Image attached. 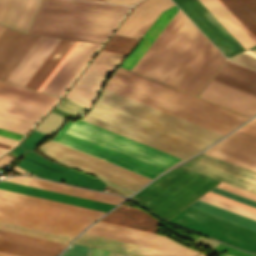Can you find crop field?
<instances>
[{
  "mask_svg": "<svg viewBox=\"0 0 256 256\" xmlns=\"http://www.w3.org/2000/svg\"><path fill=\"white\" fill-rule=\"evenodd\" d=\"M82 120L181 159L223 136L106 89Z\"/></svg>",
  "mask_w": 256,
  "mask_h": 256,
  "instance_id": "obj_1",
  "label": "crop field"
},
{
  "mask_svg": "<svg viewBox=\"0 0 256 256\" xmlns=\"http://www.w3.org/2000/svg\"><path fill=\"white\" fill-rule=\"evenodd\" d=\"M53 140L151 179L181 160L82 120L69 121Z\"/></svg>",
  "mask_w": 256,
  "mask_h": 256,
  "instance_id": "obj_2",
  "label": "crop field"
},
{
  "mask_svg": "<svg viewBox=\"0 0 256 256\" xmlns=\"http://www.w3.org/2000/svg\"><path fill=\"white\" fill-rule=\"evenodd\" d=\"M130 7L44 0L29 34L103 42Z\"/></svg>",
  "mask_w": 256,
  "mask_h": 256,
  "instance_id": "obj_3",
  "label": "crop field"
},
{
  "mask_svg": "<svg viewBox=\"0 0 256 256\" xmlns=\"http://www.w3.org/2000/svg\"><path fill=\"white\" fill-rule=\"evenodd\" d=\"M104 212L0 189V215L80 232Z\"/></svg>",
  "mask_w": 256,
  "mask_h": 256,
  "instance_id": "obj_4",
  "label": "crop field"
},
{
  "mask_svg": "<svg viewBox=\"0 0 256 256\" xmlns=\"http://www.w3.org/2000/svg\"><path fill=\"white\" fill-rule=\"evenodd\" d=\"M217 182L219 181L178 167L149 184L132 198L167 220Z\"/></svg>",
  "mask_w": 256,
  "mask_h": 256,
  "instance_id": "obj_5",
  "label": "crop field"
},
{
  "mask_svg": "<svg viewBox=\"0 0 256 256\" xmlns=\"http://www.w3.org/2000/svg\"><path fill=\"white\" fill-rule=\"evenodd\" d=\"M199 97L251 117L256 114V71L226 60Z\"/></svg>",
  "mask_w": 256,
  "mask_h": 256,
  "instance_id": "obj_6",
  "label": "crop field"
},
{
  "mask_svg": "<svg viewBox=\"0 0 256 256\" xmlns=\"http://www.w3.org/2000/svg\"><path fill=\"white\" fill-rule=\"evenodd\" d=\"M111 80L152 95L169 103L175 104L192 112L198 113L220 123L226 124L233 128L237 127L246 119H248L245 116L200 100L122 68H119L112 75Z\"/></svg>",
  "mask_w": 256,
  "mask_h": 256,
  "instance_id": "obj_7",
  "label": "crop field"
},
{
  "mask_svg": "<svg viewBox=\"0 0 256 256\" xmlns=\"http://www.w3.org/2000/svg\"><path fill=\"white\" fill-rule=\"evenodd\" d=\"M40 147L50 157L64 164L93 173L109 186L126 195L132 194L151 180L53 140Z\"/></svg>",
  "mask_w": 256,
  "mask_h": 256,
  "instance_id": "obj_8",
  "label": "crop field"
},
{
  "mask_svg": "<svg viewBox=\"0 0 256 256\" xmlns=\"http://www.w3.org/2000/svg\"><path fill=\"white\" fill-rule=\"evenodd\" d=\"M169 221L195 229L244 250L256 251V231L191 206Z\"/></svg>",
  "mask_w": 256,
  "mask_h": 256,
  "instance_id": "obj_9",
  "label": "crop field"
},
{
  "mask_svg": "<svg viewBox=\"0 0 256 256\" xmlns=\"http://www.w3.org/2000/svg\"><path fill=\"white\" fill-rule=\"evenodd\" d=\"M202 35L187 18L144 76L165 83Z\"/></svg>",
  "mask_w": 256,
  "mask_h": 256,
  "instance_id": "obj_10",
  "label": "crop field"
},
{
  "mask_svg": "<svg viewBox=\"0 0 256 256\" xmlns=\"http://www.w3.org/2000/svg\"><path fill=\"white\" fill-rule=\"evenodd\" d=\"M85 232L186 256H196L199 254V252L186 248L162 235L151 234L101 221L95 223Z\"/></svg>",
  "mask_w": 256,
  "mask_h": 256,
  "instance_id": "obj_11",
  "label": "crop field"
},
{
  "mask_svg": "<svg viewBox=\"0 0 256 256\" xmlns=\"http://www.w3.org/2000/svg\"><path fill=\"white\" fill-rule=\"evenodd\" d=\"M226 56L244 48L198 0H173Z\"/></svg>",
  "mask_w": 256,
  "mask_h": 256,
  "instance_id": "obj_12",
  "label": "crop field"
},
{
  "mask_svg": "<svg viewBox=\"0 0 256 256\" xmlns=\"http://www.w3.org/2000/svg\"><path fill=\"white\" fill-rule=\"evenodd\" d=\"M182 166L256 192V172L211 156L202 154Z\"/></svg>",
  "mask_w": 256,
  "mask_h": 256,
  "instance_id": "obj_13",
  "label": "crop field"
},
{
  "mask_svg": "<svg viewBox=\"0 0 256 256\" xmlns=\"http://www.w3.org/2000/svg\"><path fill=\"white\" fill-rule=\"evenodd\" d=\"M27 159L35 160L45 166L58 170V172L45 168L36 163H33ZM16 166L41 178L67 182V183L84 186V187H88V188H92L100 191H102L106 185L104 182H102L98 178L80 173L78 171H75L65 166L55 164L31 151H29L21 160V162Z\"/></svg>",
  "mask_w": 256,
  "mask_h": 256,
  "instance_id": "obj_14",
  "label": "crop field"
},
{
  "mask_svg": "<svg viewBox=\"0 0 256 256\" xmlns=\"http://www.w3.org/2000/svg\"><path fill=\"white\" fill-rule=\"evenodd\" d=\"M205 154L256 171V136L237 130Z\"/></svg>",
  "mask_w": 256,
  "mask_h": 256,
  "instance_id": "obj_15",
  "label": "crop field"
},
{
  "mask_svg": "<svg viewBox=\"0 0 256 256\" xmlns=\"http://www.w3.org/2000/svg\"><path fill=\"white\" fill-rule=\"evenodd\" d=\"M106 89L111 90L113 92L119 93L136 101L142 102L159 110L165 111L187 121L193 122L210 130L216 131L223 135L227 134L233 128L228 127L226 125L220 124L198 114L192 113L175 105L169 104L152 96L146 95L124 85L118 84L109 80L107 83Z\"/></svg>",
  "mask_w": 256,
  "mask_h": 256,
  "instance_id": "obj_16",
  "label": "crop field"
},
{
  "mask_svg": "<svg viewBox=\"0 0 256 256\" xmlns=\"http://www.w3.org/2000/svg\"><path fill=\"white\" fill-rule=\"evenodd\" d=\"M101 44L80 41L42 92L60 96Z\"/></svg>",
  "mask_w": 256,
  "mask_h": 256,
  "instance_id": "obj_17",
  "label": "crop field"
},
{
  "mask_svg": "<svg viewBox=\"0 0 256 256\" xmlns=\"http://www.w3.org/2000/svg\"><path fill=\"white\" fill-rule=\"evenodd\" d=\"M38 38L4 29L0 34V80H6Z\"/></svg>",
  "mask_w": 256,
  "mask_h": 256,
  "instance_id": "obj_18",
  "label": "crop field"
},
{
  "mask_svg": "<svg viewBox=\"0 0 256 256\" xmlns=\"http://www.w3.org/2000/svg\"><path fill=\"white\" fill-rule=\"evenodd\" d=\"M174 5L171 0H146L137 5L116 35L140 39L159 14Z\"/></svg>",
  "mask_w": 256,
  "mask_h": 256,
  "instance_id": "obj_19",
  "label": "crop field"
},
{
  "mask_svg": "<svg viewBox=\"0 0 256 256\" xmlns=\"http://www.w3.org/2000/svg\"><path fill=\"white\" fill-rule=\"evenodd\" d=\"M60 40L40 37L6 81L25 86Z\"/></svg>",
  "mask_w": 256,
  "mask_h": 256,
  "instance_id": "obj_20",
  "label": "crop field"
},
{
  "mask_svg": "<svg viewBox=\"0 0 256 256\" xmlns=\"http://www.w3.org/2000/svg\"><path fill=\"white\" fill-rule=\"evenodd\" d=\"M42 0H0V24L27 33Z\"/></svg>",
  "mask_w": 256,
  "mask_h": 256,
  "instance_id": "obj_21",
  "label": "crop field"
},
{
  "mask_svg": "<svg viewBox=\"0 0 256 256\" xmlns=\"http://www.w3.org/2000/svg\"><path fill=\"white\" fill-rule=\"evenodd\" d=\"M214 48L203 35L166 84L182 90Z\"/></svg>",
  "mask_w": 256,
  "mask_h": 256,
  "instance_id": "obj_22",
  "label": "crop field"
},
{
  "mask_svg": "<svg viewBox=\"0 0 256 256\" xmlns=\"http://www.w3.org/2000/svg\"><path fill=\"white\" fill-rule=\"evenodd\" d=\"M101 221L118 224L134 229H139L151 233L157 230V219L143 210L120 205L107 214Z\"/></svg>",
  "mask_w": 256,
  "mask_h": 256,
  "instance_id": "obj_23",
  "label": "crop field"
},
{
  "mask_svg": "<svg viewBox=\"0 0 256 256\" xmlns=\"http://www.w3.org/2000/svg\"><path fill=\"white\" fill-rule=\"evenodd\" d=\"M218 21L237 39L245 48L256 44V39L246 28L219 2V0H199Z\"/></svg>",
  "mask_w": 256,
  "mask_h": 256,
  "instance_id": "obj_24",
  "label": "crop field"
},
{
  "mask_svg": "<svg viewBox=\"0 0 256 256\" xmlns=\"http://www.w3.org/2000/svg\"><path fill=\"white\" fill-rule=\"evenodd\" d=\"M0 188L11 190V191H16V192H20V193H25V194H29V195H34V196H38V197H42V198H47V199H51V200H56V201H60V202H64V203H69V204H73V205H78V206H82V207H87V208L100 210V211H104V212H107L109 209H111L114 206V205H110V204H105V203L87 200V199H83V198H78V197H74V196H69V195H65V194L55 193V192H51V191H46V190H42V189H37V188H33V187L10 183V182H6V181L0 182Z\"/></svg>",
  "mask_w": 256,
  "mask_h": 256,
  "instance_id": "obj_25",
  "label": "crop field"
},
{
  "mask_svg": "<svg viewBox=\"0 0 256 256\" xmlns=\"http://www.w3.org/2000/svg\"><path fill=\"white\" fill-rule=\"evenodd\" d=\"M108 76V74L85 70L70 92L68 91L67 96H65L68 99L90 107L99 95Z\"/></svg>",
  "mask_w": 256,
  "mask_h": 256,
  "instance_id": "obj_26",
  "label": "crop field"
},
{
  "mask_svg": "<svg viewBox=\"0 0 256 256\" xmlns=\"http://www.w3.org/2000/svg\"><path fill=\"white\" fill-rule=\"evenodd\" d=\"M75 242L134 256H179L86 233L79 236Z\"/></svg>",
  "mask_w": 256,
  "mask_h": 256,
  "instance_id": "obj_27",
  "label": "crop field"
},
{
  "mask_svg": "<svg viewBox=\"0 0 256 256\" xmlns=\"http://www.w3.org/2000/svg\"><path fill=\"white\" fill-rule=\"evenodd\" d=\"M178 10L179 9L174 5L162 12L152 26L143 35L137 46L128 54L124 62L122 61L123 63L121 64V67L131 70Z\"/></svg>",
  "mask_w": 256,
  "mask_h": 256,
  "instance_id": "obj_28",
  "label": "crop field"
},
{
  "mask_svg": "<svg viewBox=\"0 0 256 256\" xmlns=\"http://www.w3.org/2000/svg\"><path fill=\"white\" fill-rule=\"evenodd\" d=\"M177 13V12H176ZM187 17L179 10L158 38L153 42L137 64L133 67L135 71L141 75L147 70L154 59L158 56L164 46L168 43L171 37L175 34L178 28L182 25Z\"/></svg>",
  "mask_w": 256,
  "mask_h": 256,
  "instance_id": "obj_29",
  "label": "crop field"
},
{
  "mask_svg": "<svg viewBox=\"0 0 256 256\" xmlns=\"http://www.w3.org/2000/svg\"><path fill=\"white\" fill-rule=\"evenodd\" d=\"M0 96L48 110L58 99L56 96L26 89L0 81Z\"/></svg>",
  "mask_w": 256,
  "mask_h": 256,
  "instance_id": "obj_30",
  "label": "crop field"
},
{
  "mask_svg": "<svg viewBox=\"0 0 256 256\" xmlns=\"http://www.w3.org/2000/svg\"><path fill=\"white\" fill-rule=\"evenodd\" d=\"M29 186L33 187H38L42 189H47L51 191H56L60 193H65L69 195H74L78 197H83L87 199H92L96 201H101L105 203H110L117 205L119 202H121L122 198L100 193V192H95V191H90V190H85V189H80V188H75V187H70L66 185H61V184H56V183H51L39 179H34L31 178L30 182L28 183Z\"/></svg>",
  "mask_w": 256,
  "mask_h": 256,
  "instance_id": "obj_31",
  "label": "crop field"
},
{
  "mask_svg": "<svg viewBox=\"0 0 256 256\" xmlns=\"http://www.w3.org/2000/svg\"><path fill=\"white\" fill-rule=\"evenodd\" d=\"M226 59L215 48L207 60L191 78L183 91L198 95Z\"/></svg>",
  "mask_w": 256,
  "mask_h": 256,
  "instance_id": "obj_32",
  "label": "crop field"
},
{
  "mask_svg": "<svg viewBox=\"0 0 256 256\" xmlns=\"http://www.w3.org/2000/svg\"><path fill=\"white\" fill-rule=\"evenodd\" d=\"M256 38V0H220Z\"/></svg>",
  "mask_w": 256,
  "mask_h": 256,
  "instance_id": "obj_33",
  "label": "crop field"
},
{
  "mask_svg": "<svg viewBox=\"0 0 256 256\" xmlns=\"http://www.w3.org/2000/svg\"><path fill=\"white\" fill-rule=\"evenodd\" d=\"M74 42L75 41L73 40L62 39L35 75L27 83L26 87L37 90Z\"/></svg>",
  "mask_w": 256,
  "mask_h": 256,
  "instance_id": "obj_34",
  "label": "crop field"
},
{
  "mask_svg": "<svg viewBox=\"0 0 256 256\" xmlns=\"http://www.w3.org/2000/svg\"><path fill=\"white\" fill-rule=\"evenodd\" d=\"M0 112L37 122L46 110L0 98Z\"/></svg>",
  "mask_w": 256,
  "mask_h": 256,
  "instance_id": "obj_35",
  "label": "crop field"
},
{
  "mask_svg": "<svg viewBox=\"0 0 256 256\" xmlns=\"http://www.w3.org/2000/svg\"><path fill=\"white\" fill-rule=\"evenodd\" d=\"M191 206L199 208L201 210H204L206 212L212 213L214 215L220 216L222 218H225L227 220L233 221L235 223H238L240 225L246 226L248 228H251L253 230H256V221L246 218L244 216L232 213L230 211L218 208L216 206L204 203L202 201H195Z\"/></svg>",
  "mask_w": 256,
  "mask_h": 256,
  "instance_id": "obj_36",
  "label": "crop field"
},
{
  "mask_svg": "<svg viewBox=\"0 0 256 256\" xmlns=\"http://www.w3.org/2000/svg\"><path fill=\"white\" fill-rule=\"evenodd\" d=\"M0 229L2 230H7V231H12V232H17V233H22L30 236H35L39 238H44L52 241H57L61 243L68 244L69 241L72 239V237L68 236H63L55 233H50L46 231H41L33 228H28L24 226H19L11 223H6L0 221Z\"/></svg>",
  "mask_w": 256,
  "mask_h": 256,
  "instance_id": "obj_37",
  "label": "crop field"
},
{
  "mask_svg": "<svg viewBox=\"0 0 256 256\" xmlns=\"http://www.w3.org/2000/svg\"><path fill=\"white\" fill-rule=\"evenodd\" d=\"M0 239L46 248L55 251H61L66 245L14 233L0 231Z\"/></svg>",
  "mask_w": 256,
  "mask_h": 256,
  "instance_id": "obj_38",
  "label": "crop field"
},
{
  "mask_svg": "<svg viewBox=\"0 0 256 256\" xmlns=\"http://www.w3.org/2000/svg\"><path fill=\"white\" fill-rule=\"evenodd\" d=\"M0 250L23 256H54L58 252L0 240Z\"/></svg>",
  "mask_w": 256,
  "mask_h": 256,
  "instance_id": "obj_39",
  "label": "crop field"
},
{
  "mask_svg": "<svg viewBox=\"0 0 256 256\" xmlns=\"http://www.w3.org/2000/svg\"><path fill=\"white\" fill-rule=\"evenodd\" d=\"M35 124L28 120L0 113V128L25 135Z\"/></svg>",
  "mask_w": 256,
  "mask_h": 256,
  "instance_id": "obj_40",
  "label": "crop field"
},
{
  "mask_svg": "<svg viewBox=\"0 0 256 256\" xmlns=\"http://www.w3.org/2000/svg\"><path fill=\"white\" fill-rule=\"evenodd\" d=\"M65 120L66 118L50 112L35 130L50 136L58 130Z\"/></svg>",
  "mask_w": 256,
  "mask_h": 256,
  "instance_id": "obj_41",
  "label": "crop field"
},
{
  "mask_svg": "<svg viewBox=\"0 0 256 256\" xmlns=\"http://www.w3.org/2000/svg\"><path fill=\"white\" fill-rule=\"evenodd\" d=\"M136 41L137 40L113 35L103 50L126 55Z\"/></svg>",
  "mask_w": 256,
  "mask_h": 256,
  "instance_id": "obj_42",
  "label": "crop field"
},
{
  "mask_svg": "<svg viewBox=\"0 0 256 256\" xmlns=\"http://www.w3.org/2000/svg\"><path fill=\"white\" fill-rule=\"evenodd\" d=\"M0 220L19 224V225H24V226H28V227H33V228H37V229H41V230H46V231H50V232H55V233H59V234H63V235H68V236H72V237H75L78 234L77 232H73V231H68V230H63V229L54 228V227H50V226L40 225V224L31 223V222L22 221V220L13 219V218H8V217H4V216H0Z\"/></svg>",
  "mask_w": 256,
  "mask_h": 256,
  "instance_id": "obj_43",
  "label": "crop field"
},
{
  "mask_svg": "<svg viewBox=\"0 0 256 256\" xmlns=\"http://www.w3.org/2000/svg\"><path fill=\"white\" fill-rule=\"evenodd\" d=\"M199 200L205 201V202H207V203H210V204L219 206V207H221V208H224V209L233 211V212H235V213H238V214H241V215H244V216H247V217H249V218H252V219H255V220H256V214H255V213H252V212H249V211H247V210H244V209L235 207V206H233V205L224 203V202H222V201H219V200L210 198V197H208V196L203 195L202 197L199 198Z\"/></svg>",
  "mask_w": 256,
  "mask_h": 256,
  "instance_id": "obj_44",
  "label": "crop field"
},
{
  "mask_svg": "<svg viewBox=\"0 0 256 256\" xmlns=\"http://www.w3.org/2000/svg\"><path fill=\"white\" fill-rule=\"evenodd\" d=\"M56 108L64 110L66 112H69L71 114L77 115L79 117H81L82 115H84L89 108L82 106L80 104H77L73 101H70L66 98H63L59 104L56 106Z\"/></svg>",
  "mask_w": 256,
  "mask_h": 256,
  "instance_id": "obj_45",
  "label": "crop field"
},
{
  "mask_svg": "<svg viewBox=\"0 0 256 256\" xmlns=\"http://www.w3.org/2000/svg\"><path fill=\"white\" fill-rule=\"evenodd\" d=\"M123 58H124L123 55L101 51L100 54L95 58L93 62L117 67Z\"/></svg>",
  "mask_w": 256,
  "mask_h": 256,
  "instance_id": "obj_46",
  "label": "crop field"
},
{
  "mask_svg": "<svg viewBox=\"0 0 256 256\" xmlns=\"http://www.w3.org/2000/svg\"><path fill=\"white\" fill-rule=\"evenodd\" d=\"M48 136L41 134L35 130H33L29 136L20 144V146L34 150V148L41 143L43 140H45Z\"/></svg>",
  "mask_w": 256,
  "mask_h": 256,
  "instance_id": "obj_47",
  "label": "crop field"
},
{
  "mask_svg": "<svg viewBox=\"0 0 256 256\" xmlns=\"http://www.w3.org/2000/svg\"><path fill=\"white\" fill-rule=\"evenodd\" d=\"M90 247L73 243L62 256H89Z\"/></svg>",
  "mask_w": 256,
  "mask_h": 256,
  "instance_id": "obj_48",
  "label": "crop field"
},
{
  "mask_svg": "<svg viewBox=\"0 0 256 256\" xmlns=\"http://www.w3.org/2000/svg\"><path fill=\"white\" fill-rule=\"evenodd\" d=\"M205 195H208V196H210V197H213V198L222 200V201H224V202L233 204V205H235V206H238V207H241V208H244V209H247V210H249V211H252V212H255V213H256V208H255V207H252V206L246 205V204H244V203L235 201V200H233V199H230V198H227V197H225V196L216 194V193H214V192L209 191V192H207Z\"/></svg>",
  "mask_w": 256,
  "mask_h": 256,
  "instance_id": "obj_49",
  "label": "crop field"
},
{
  "mask_svg": "<svg viewBox=\"0 0 256 256\" xmlns=\"http://www.w3.org/2000/svg\"><path fill=\"white\" fill-rule=\"evenodd\" d=\"M216 187L222 188V189H224V190H227V191L236 193V194H238V195H241V196H244V197H247V198H250V199L256 201V194H253V193H250V192H248V191L239 189V188H237V187L228 185V184H226V183L221 182V183L218 184Z\"/></svg>",
  "mask_w": 256,
  "mask_h": 256,
  "instance_id": "obj_50",
  "label": "crop field"
},
{
  "mask_svg": "<svg viewBox=\"0 0 256 256\" xmlns=\"http://www.w3.org/2000/svg\"><path fill=\"white\" fill-rule=\"evenodd\" d=\"M215 249L216 250H227V253L219 254V256H256L255 254L246 253V252L228 247L221 243H219V245H217Z\"/></svg>",
  "mask_w": 256,
  "mask_h": 256,
  "instance_id": "obj_51",
  "label": "crop field"
},
{
  "mask_svg": "<svg viewBox=\"0 0 256 256\" xmlns=\"http://www.w3.org/2000/svg\"><path fill=\"white\" fill-rule=\"evenodd\" d=\"M211 191H214V192H216V193L225 195V196H227V197L233 198V199H235V200H238V201H241V202H244V203H246V204H249V205H252V206H255V207H256V202H255V201H252V200H249V199H247V198H244V197L235 195V194H233V193H230V192L221 190V189H219V188L214 187L213 189H211Z\"/></svg>",
  "mask_w": 256,
  "mask_h": 256,
  "instance_id": "obj_52",
  "label": "crop field"
},
{
  "mask_svg": "<svg viewBox=\"0 0 256 256\" xmlns=\"http://www.w3.org/2000/svg\"><path fill=\"white\" fill-rule=\"evenodd\" d=\"M231 59L256 69V59L253 57L240 53Z\"/></svg>",
  "mask_w": 256,
  "mask_h": 256,
  "instance_id": "obj_53",
  "label": "crop field"
},
{
  "mask_svg": "<svg viewBox=\"0 0 256 256\" xmlns=\"http://www.w3.org/2000/svg\"><path fill=\"white\" fill-rule=\"evenodd\" d=\"M79 41H76L75 44L71 47V49L67 52V54L63 57V59L59 62V64L55 67V69L51 72V74L47 77V79L43 82V84L39 87V91L46 85V83L50 80V78L54 75V73L58 70V68L63 64V62L67 59V57L71 54V52L78 45Z\"/></svg>",
  "mask_w": 256,
  "mask_h": 256,
  "instance_id": "obj_54",
  "label": "crop field"
},
{
  "mask_svg": "<svg viewBox=\"0 0 256 256\" xmlns=\"http://www.w3.org/2000/svg\"><path fill=\"white\" fill-rule=\"evenodd\" d=\"M87 69L111 74L115 68L91 63Z\"/></svg>",
  "mask_w": 256,
  "mask_h": 256,
  "instance_id": "obj_55",
  "label": "crop field"
},
{
  "mask_svg": "<svg viewBox=\"0 0 256 256\" xmlns=\"http://www.w3.org/2000/svg\"><path fill=\"white\" fill-rule=\"evenodd\" d=\"M239 130L245 131L247 133L256 135V118L245 124Z\"/></svg>",
  "mask_w": 256,
  "mask_h": 256,
  "instance_id": "obj_56",
  "label": "crop field"
},
{
  "mask_svg": "<svg viewBox=\"0 0 256 256\" xmlns=\"http://www.w3.org/2000/svg\"><path fill=\"white\" fill-rule=\"evenodd\" d=\"M138 1H140V0H105L104 2L133 5V4L137 3Z\"/></svg>",
  "mask_w": 256,
  "mask_h": 256,
  "instance_id": "obj_57",
  "label": "crop field"
},
{
  "mask_svg": "<svg viewBox=\"0 0 256 256\" xmlns=\"http://www.w3.org/2000/svg\"><path fill=\"white\" fill-rule=\"evenodd\" d=\"M0 135L6 136V137H9V138H13V139H17V140H19L20 138L23 137V135H19V134L12 133V132L5 131V130H1V129H0Z\"/></svg>",
  "mask_w": 256,
  "mask_h": 256,
  "instance_id": "obj_58",
  "label": "crop field"
},
{
  "mask_svg": "<svg viewBox=\"0 0 256 256\" xmlns=\"http://www.w3.org/2000/svg\"><path fill=\"white\" fill-rule=\"evenodd\" d=\"M195 242L203 243V244H206L211 247H213L217 244V241L210 240V239L204 238V237H199Z\"/></svg>",
  "mask_w": 256,
  "mask_h": 256,
  "instance_id": "obj_59",
  "label": "crop field"
},
{
  "mask_svg": "<svg viewBox=\"0 0 256 256\" xmlns=\"http://www.w3.org/2000/svg\"><path fill=\"white\" fill-rule=\"evenodd\" d=\"M29 180H30L29 177H16V178L8 179L7 181H11V182H16V183L27 185Z\"/></svg>",
  "mask_w": 256,
  "mask_h": 256,
  "instance_id": "obj_60",
  "label": "crop field"
},
{
  "mask_svg": "<svg viewBox=\"0 0 256 256\" xmlns=\"http://www.w3.org/2000/svg\"><path fill=\"white\" fill-rule=\"evenodd\" d=\"M107 250L93 248L91 256H108Z\"/></svg>",
  "mask_w": 256,
  "mask_h": 256,
  "instance_id": "obj_61",
  "label": "crop field"
},
{
  "mask_svg": "<svg viewBox=\"0 0 256 256\" xmlns=\"http://www.w3.org/2000/svg\"><path fill=\"white\" fill-rule=\"evenodd\" d=\"M16 142H17L16 140H12V139H8V138L0 136V143H4V144L13 146L16 144Z\"/></svg>",
  "mask_w": 256,
  "mask_h": 256,
  "instance_id": "obj_62",
  "label": "crop field"
},
{
  "mask_svg": "<svg viewBox=\"0 0 256 256\" xmlns=\"http://www.w3.org/2000/svg\"><path fill=\"white\" fill-rule=\"evenodd\" d=\"M3 157V156H2ZM12 158H10L9 156H4L3 158L0 159V167L3 168L5 165H7L9 162H11Z\"/></svg>",
  "mask_w": 256,
  "mask_h": 256,
  "instance_id": "obj_63",
  "label": "crop field"
},
{
  "mask_svg": "<svg viewBox=\"0 0 256 256\" xmlns=\"http://www.w3.org/2000/svg\"><path fill=\"white\" fill-rule=\"evenodd\" d=\"M13 152L17 153V154H22L23 152H25V149L21 148V147H16L14 150H12Z\"/></svg>",
  "mask_w": 256,
  "mask_h": 256,
  "instance_id": "obj_64",
  "label": "crop field"
},
{
  "mask_svg": "<svg viewBox=\"0 0 256 256\" xmlns=\"http://www.w3.org/2000/svg\"><path fill=\"white\" fill-rule=\"evenodd\" d=\"M11 169H13V170H15V171H17V172H19L21 174H30V173H28V172H26V171H24V170H22V169H20V168H18L16 166L11 168ZM30 175H32V174H30Z\"/></svg>",
  "mask_w": 256,
  "mask_h": 256,
  "instance_id": "obj_65",
  "label": "crop field"
},
{
  "mask_svg": "<svg viewBox=\"0 0 256 256\" xmlns=\"http://www.w3.org/2000/svg\"><path fill=\"white\" fill-rule=\"evenodd\" d=\"M243 53L248 54V55L253 56V57L256 58V52H255V51H252V50H250V49L244 51Z\"/></svg>",
  "mask_w": 256,
  "mask_h": 256,
  "instance_id": "obj_66",
  "label": "crop field"
},
{
  "mask_svg": "<svg viewBox=\"0 0 256 256\" xmlns=\"http://www.w3.org/2000/svg\"><path fill=\"white\" fill-rule=\"evenodd\" d=\"M0 256H18V255H14V254L5 253V252L0 251Z\"/></svg>",
  "mask_w": 256,
  "mask_h": 256,
  "instance_id": "obj_67",
  "label": "crop field"
},
{
  "mask_svg": "<svg viewBox=\"0 0 256 256\" xmlns=\"http://www.w3.org/2000/svg\"><path fill=\"white\" fill-rule=\"evenodd\" d=\"M109 256H126V255H122V254H118V253H115V252H109Z\"/></svg>",
  "mask_w": 256,
  "mask_h": 256,
  "instance_id": "obj_68",
  "label": "crop field"
},
{
  "mask_svg": "<svg viewBox=\"0 0 256 256\" xmlns=\"http://www.w3.org/2000/svg\"><path fill=\"white\" fill-rule=\"evenodd\" d=\"M0 147L7 148V149L11 148V146H7V145H3V144H0Z\"/></svg>",
  "mask_w": 256,
  "mask_h": 256,
  "instance_id": "obj_69",
  "label": "crop field"
},
{
  "mask_svg": "<svg viewBox=\"0 0 256 256\" xmlns=\"http://www.w3.org/2000/svg\"><path fill=\"white\" fill-rule=\"evenodd\" d=\"M7 149H3V148H0V154H2L3 152H5Z\"/></svg>",
  "mask_w": 256,
  "mask_h": 256,
  "instance_id": "obj_70",
  "label": "crop field"
},
{
  "mask_svg": "<svg viewBox=\"0 0 256 256\" xmlns=\"http://www.w3.org/2000/svg\"><path fill=\"white\" fill-rule=\"evenodd\" d=\"M88 1H98V2H103L104 0H88Z\"/></svg>",
  "mask_w": 256,
  "mask_h": 256,
  "instance_id": "obj_71",
  "label": "crop field"
},
{
  "mask_svg": "<svg viewBox=\"0 0 256 256\" xmlns=\"http://www.w3.org/2000/svg\"><path fill=\"white\" fill-rule=\"evenodd\" d=\"M4 27L0 26V33L3 31Z\"/></svg>",
  "mask_w": 256,
  "mask_h": 256,
  "instance_id": "obj_72",
  "label": "crop field"
},
{
  "mask_svg": "<svg viewBox=\"0 0 256 256\" xmlns=\"http://www.w3.org/2000/svg\"><path fill=\"white\" fill-rule=\"evenodd\" d=\"M250 49H252V50H255V51H256V46H254V47H252V48H250Z\"/></svg>",
  "mask_w": 256,
  "mask_h": 256,
  "instance_id": "obj_73",
  "label": "crop field"
},
{
  "mask_svg": "<svg viewBox=\"0 0 256 256\" xmlns=\"http://www.w3.org/2000/svg\"><path fill=\"white\" fill-rule=\"evenodd\" d=\"M198 256H204L202 253L200 254V255H198Z\"/></svg>",
  "mask_w": 256,
  "mask_h": 256,
  "instance_id": "obj_74",
  "label": "crop field"
}]
</instances>
